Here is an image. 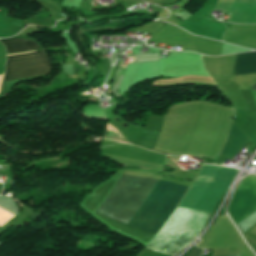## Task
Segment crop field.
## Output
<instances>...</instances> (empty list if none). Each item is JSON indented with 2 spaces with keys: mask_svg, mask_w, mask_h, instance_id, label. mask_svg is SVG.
Returning a JSON list of instances; mask_svg holds the SVG:
<instances>
[{
  "mask_svg": "<svg viewBox=\"0 0 256 256\" xmlns=\"http://www.w3.org/2000/svg\"><path fill=\"white\" fill-rule=\"evenodd\" d=\"M237 170L203 165L187 186L149 177L123 175L97 211L136 227L157 233L178 205L179 208L211 213L231 184ZM176 208L147 249L173 255L198 235L209 213Z\"/></svg>",
  "mask_w": 256,
  "mask_h": 256,
  "instance_id": "crop-field-1",
  "label": "crop field"
},
{
  "mask_svg": "<svg viewBox=\"0 0 256 256\" xmlns=\"http://www.w3.org/2000/svg\"><path fill=\"white\" fill-rule=\"evenodd\" d=\"M254 211H256V175H249L236 188L228 206V214L236 225ZM255 223L256 212L238 224L237 228L243 235Z\"/></svg>",
  "mask_w": 256,
  "mask_h": 256,
  "instance_id": "crop-field-2",
  "label": "crop field"
},
{
  "mask_svg": "<svg viewBox=\"0 0 256 256\" xmlns=\"http://www.w3.org/2000/svg\"><path fill=\"white\" fill-rule=\"evenodd\" d=\"M52 71L43 50L7 56L3 81L46 74Z\"/></svg>",
  "mask_w": 256,
  "mask_h": 256,
  "instance_id": "crop-field-3",
  "label": "crop field"
},
{
  "mask_svg": "<svg viewBox=\"0 0 256 256\" xmlns=\"http://www.w3.org/2000/svg\"><path fill=\"white\" fill-rule=\"evenodd\" d=\"M249 137L232 122L220 156L233 158L249 141Z\"/></svg>",
  "mask_w": 256,
  "mask_h": 256,
  "instance_id": "crop-field-4",
  "label": "crop field"
},
{
  "mask_svg": "<svg viewBox=\"0 0 256 256\" xmlns=\"http://www.w3.org/2000/svg\"><path fill=\"white\" fill-rule=\"evenodd\" d=\"M0 41L5 45L7 53L39 48V46L32 40L6 39Z\"/></svg>",
  "mask_w": 256,
  "mask_h": 256,
  "instance_id": "crop-field-5",
  "label": "crop field"
},
{
  "mask_svg": "<svg viewBox=\"0 0 256 256\" xmlns=\"http://www.w3.org/2000/svg\"><path fill=\"white\" fill-rule=\"evenodd\" d=\"M256 68V51L236 54L234 70Z\"/></svg>",
  "mask_w": 256,
  "mask_h": 256,
  "instance_id": "crop-field-6",
  "label": "crop field"
},
{
  "mask_svg": "<svg viewBox=\"0 0 256 256\" xmlns=\"http://www.w3.org/2000/svg\"><path fill=\"white\" fill-rule=\"evenodd\" d=\"M201 251V249L193 247L192 250L186 256H199Z\"/></svg>",
  "mask_w": 256,
  "mask_h": 256,
  "instance_id": "crop-field-7",
  "label": "crop field"
},
{
  "mask_svg": "<svg viewBox=\"0 0 256 256\" xmlns=\"http://www.w3.org/2000/svg\"><path fill=\"white\" fill-rule=\"evenodd\" d=\"M250 90H256V85L254 87H252Z\"/></svg>",
  "mask_w": 256,
  "mask_h": 256,
  "instance_id": "crop-field-8",
  "label": "crop field"
},
{
  "mask_svg": "<svg viewBox=\"0 0 256 256\" xmlns=\"http://www.w3.org/2000/svg\"><path fill=\"white\" fill-rule=\"evenodd\" d=\"M228 256H239V255H228Z\"/></svg>",
  "mask_w": 256,
  "mask_h": 256,
  "instance_id": "crop-field-9",
  "label": "crop field"
}]
</instances>
